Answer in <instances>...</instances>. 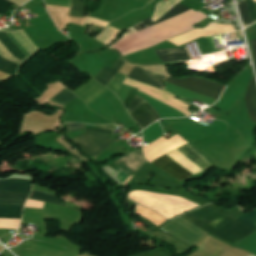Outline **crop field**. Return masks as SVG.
<instances>
[{
	"label": "crop field",
	"mask_w": 256,
	"mask_h": 256,
	"mask_svg": "<svg viewBox=\"0 0 256 256\" xmlns=\"http://www.w3.org/2000/svg\"><path fill=\"white\" fill-rule=\"evenodd\" d=\"M21 219H0V228L18 229Z\"/></svg>",
	"instance_id": "crop-field-21"
},
{
	"label": "crop field",
	"mask_w": 256,
	"mask_h": 256,
	"mask_svg": "<svg viewBox=\"0 0 256 256\" xmlns=\"http://www.w3.org/2000/svg\"><path fill=\"white\" fill-rule=\"evenodd\" d=\"M131 116L139 123L142 129L160 119L158 113L147 103L146 100Z\"/></svg>",
	"instance_id": "crop-field-8"
},
{
	"label": "crop field",
	"mask_w": 256,
	"mask_h": 256,
	"mask_svg": "<svg viewBox=\"0 0 256 256\" xmlns=\"http://www.w3.org/2000/svg\"><path fill=\"white\" fill-rule=\"evenodd\" d=\"M145 99L136 96L133 104L127 109L129 113H132Z\"/></svg>",
	"instance_id": "crop-field-22"
},
{
	"label": "crop field",
	"mask_w": 256,
	"mask_h": 256,
	"mask_svg": "<svg viewBox=\"0 0 256 256\" xmlns=\"http://www.w3.org/2000/svg\"><path fill=\"white\" fill-rule=\"evenodd\" d=\"M85 124L68 123L66 132L84 129Z\"/></svg>",
	"instance_id": "crop-field-23"
},
{
	"label": "crop field",
	"mask_w": 256,
	"mask_h": 256,
	"mask_svg": "<svg viewBox=\"0 0 256 256\" xmlns=\"http://www.w3.org/2000/svg\"><path fill=\"white\" fill-rule=\"evenodd\" d=\"M160 59L165 62L186 61L192 59L187 48L155 50Z\"/></svg>",
	"instance_id": "crop-field-9"
},
{
	"label": "crop field",
	"mask_w": 256,
	"mask_h": 256,
	"mask_svg": "<svg viewBox=\"0 0 256 256\" xmlns=\"http://www.w3.org/2000/svg\"><path fill=\"white\" fill-rule=\"evenodd\" d=\"M166 82L215 99L220 97L224 89V87L219 84L197 78L177 80L169 77Z\"/></svg>",
	"instance_id": "crop-field-5"
},
{
	"label": "crop field",
	"mask_w": 256,
	"mask_h": 256,
	"mask_svg": "<svg viewBox=\"0 0 256 256\" xmlns=\"http://www.w3.org/2000/svg\"><path fill=\"white\" fill-rule=\"evenodd\" d=\"M76 97H78V96H76L70 90L65 88L58 95H56L53 99H51V101L65 106L66 104H68L70 101H72Z\"/></svg>",
	"instance_id": "crop-field-17"
},
{
	"label": "crop field",
	"mask_w": 256,
	"mask_h": 256,
	"mask_svg": "<svg viewBox=\"0 0 256 256\" xmlns=\"http://www.w3.org/2000/svg\"><path fill=\"white\" fill-rule=\"evenodd\" d=\"M127 77V76H126ZM125 76L117 73V75L113 78V80L107 85V87L117 95L120 89V86L124 80Z\"/></svg>",
	"instance_id": "crop-field-20"
},
{
	"label": "crop field",
	"mask_w": 256,
	"mask_h": 256,
	"mask_svg": "<svg viewBox=\"0 0 256 256\" xmlns=\"http://www.w3.org/2000/svg\"><path fill=\"white\" fill-rule=\"evenodd\" d=\"M69 15L85 17L82 0H71Z\"/></svg>",
	"instance_id": "crop-field-19"
},
{
	"label": "crop field",
	"mask_w": 256,
	"mask_h": 256,
	"mask_svg": "<svg viewBox=\"0 0 256 256\" xmlns=\"http://www.w3.org/2000/svg\"><path fill=\"white\" fill-rule=\"evenodd\" d=\"M32 180L7 179L0 180V191L31 192Z\"/></svg>",
	"instance_id": "crop-field-10"
},
{
	"label": "crop field",
	"mask_w": 256,
	"mask_h": 256,
	"mask_svg": "<svg viewBox=\"0 0 256 256\" xmlns=\"http://www.w3.org/2000/svg\"><path fill=\"white\" fill-rule=\"evenodd\" d=\"M125 61L126 60L120 56V58L115 63L112 69L104 66L102 70L94 78L106 86L108 82L114 77V75L119 71V69L122 67Z\"/></svg>",
	"instance_id": "crop-field-11"
},
{
	"label": "crop field",
	"mask_w": 256,
	"mask_h": 256,
	"mask_svg": "<svg viewBox=\"0 0 256 256\" xmlns=\"http://www.w3.org/2000/svg\"><path fill=\"white\" fill-rule=\"evenodd\" d=\"M178 149L185 153L188 157H190L204 169L212 166V164L207 160V158L189 143ZM152 164L164 170L166 173H168L169 175H171L172 177L179 181L194 175L188 170L181 167L175 161L170 159L166 154L156 159Z\"/></svg>",
	"instance_id": "crop-field-4"
},
{
	"label": "crop field",
	"mask_w": 256,
	"mask_h": 256,
	"mask_svg": "<svg viewBox=\"0 0 256 256\" xmlns=\"http://www.w3.org/2000/svg\"><path fill=\"white\" fill-rule=\"evenodd\" d=\"M250 42H251V44L253 46L254 55H255V62H256V40H252Z\"/></svg>",
	"instance_id": "crop-field-26"
},
{
	"label": "crop field",
	"mask_w": 256,
	"mask_h": 256,
	"mask_svg": "<svg viewBox=\"0 0 256 256\" xmlns=\"http://www.w3.org/2000/svg\"><path fill=\"white\" fill-rule=\"evenodd\" d=\"M39 49L23 30H0V70L18 75V68Z\"/></svg>",
	"instance_id": "crop-field-3"
},
{
	"label": "crop field",
	"mask_w": 256,
	"mask_h": 256,
	"mask_svg": "<svg viewBox=\"0 0 256 256\" xmlns=\"http://www.w3.org/2000/svg\"><path fill=\"white\" fill-rule=\"evenodd\" d=\"M23 207L21 205L0 204V218H21Z\"/></svg>",
	"instance_id": "crop-field-15"
},
{
	"label": "crop field",
	"mask_w": 256,
	"mask_h": 256,
	"mask_svg": "<svg viewBox=\"0 0 256 256\" xmlns=\"http://www.w3.org/2000/svg\"><path fill=\"white\" fill-rule=\"evenodd\" d=\"M31 199H36V200H41V201H46L54 204H60L63 205L62 202L55 196L45 194L39 191H33L31 196Z\"/></svg>",
	"instance_id": "crop-field-18"
},
{
	"label": "crop field",
	"mask_w": 256,
	"mask_h": 256,
	"mask_svg": "<svg viewBox=\"0 0 256 256\" xmlns=\"http://www.w3.org/2000/svg\"><path fill=\"white\" fill-rule=\"evenodd\" d=\"M86 131H95V132H103L111 134L112 131L104 130V129H86Z\"/></svg>",
	"instance_id": "crop-field-25"
},
{
	"label": "crop field",
	"mask_w": 256,
	"mask_h": 256,
	"mask_svg": "<svg viewBox=\"0 0 256 256\" xmlns=\"http://www.w3.org/2000/svg\"><path fill=\"white\" fill-rule=\"evenodd\" d=\"M29 194L19 192H0V203L24 205Z\"/></svg>",
	"instance_id": "crop-field-14"
},
{
	"label": "crop field",
	"mask_w": 256,
	"mask_h": 256,
	"mask_svg": "<svg viewBox=\"0 0 256 256\" xmlns=\"http://www.w3.org/2000/svg\"><path fill=\"white\" fill-rule=\"evenodd\" d=\"M109 137V135L86 132L72 141L89 156H95L114 142V140L108 139Z\"/></svg>",
	"instance_id": "crop-field-6"
},
{
	"label": "crop field",
	"mask_w": 256,
	"mask_h": 256,
	"mask_svg": "<svg viewBox=\"0 0 256 256\" xmlns=\"http://www.w3.org/2000/svg\"><path fill=\"white\" fill-rule=\"evenodd\" d=\"M189 10L191 9L184 5L178 4L173 10H171L168 14L163 16L156 23L151 22L150 18H148L134 25L133 27L127 29V31L117 41H115L110 48L111 49L115 48L119 50L123 55L136 52L139 50H143V49L155 46L170 37L176 36L187 30L193 29L191 25L196 24L199 21L203 20L204 18L208 17L199 11L196 12L194 10H191V11ZM186 11H189V12H186ZM181 13H184V14H181ZM176 15H179V16H176ZM169 18H172V19H169ZM164 20H167V21H164ZM159 22H162V23H159ZM154 24H157V25H154ZM145 28H148V29H145ZM136 32H139V33H136ZM127 36H130V37H127ZM116 42L118 43L115 44ZM113 45L114 47L112 48ZM120 52L119 54L123 56Z\"/></svg>",
	"instance_id": "crop-field-1"
},
{
	"label": "crop field",
	"mask_w": 256,
	"mask_h": 256,
	"mask_svg": "<svg viewBox=\"0 0 256 256\" xmlns=\"http://www.w3.org/2000/svg\"><path fill=\"white\" fill-rule=\"evenodd\" d=\"M247 1V5H248V9L251 15V19L252 22H256V5L255 2L253 0H246ZM246 1H243L242 3H239V10H240V14L241 17L243 19V24L245 27H247L248 25L252 24L251 19H250V15L247 9V5H246Z\"/></svg>",
	"instance_id": "crop-field-12"
},
{
	"label": "crop field",
	"mask_w": 256,
	"mask_h": 256,
	"mask_svg": "<svg viewBox=\"0 0 256 256\" xmlns=\"http://www.w3.org/2000/svg\"><path fill=\"white\" fill-rule=\"evenodd\" d=\"M43 203L44 202H41V201H36V200L28 199L25 207L42 208L43 207Z\"/></svg>",
	"instance_id": "crop-field-24"
},
{
	"label": "crop field",
	"mask_w": 256,
	"mask_h": 256,
	"mask_svg": "<svg viewBox=\"0 0 256 256\" xmlns=\"http://www.w3.org/2000/svg\"><path fill=\"white\" fill-rule=\"evenodd\" d=\"M246 105L249 111L250 119L256 122V80L254 77L248 87Z\"/></svg>",
	"instance_id": "crop-field-13"
},
{
	"label": "crop field",
	"mask_w": 256,
	"mask_h": 256,
	"mask_svg": "<svg viewBox=\"0 0 256 256\" xmlns=\"http://www.w3.org/2000/svg\"><path fill=\"white\" fill-rule=\"evenodd\" d=\"M128 78H132L164 90L162 82L166 76L156 74L135 66L134 69L129 73Z\"/></svg>",
	"instance_id": "crop-field-7"
},
{
	"label": "crop field",
	"mask_w": 256,
	"mask_h": 256,
	"mask_svg": "<svg viewBox=\"0 0 256 256\" xmlns=\"http://www.w3.org/2000/svg\"><path fill=\"white\" fill-rule=\"evenodd\" d=\"M181 217L231 244L256 231V228L214 204Z\"/></svg>",
	"instance_id": "crop-field-2"
},
{
	"label": "crop field",
	"mask_w": 256,
	"mask_h": 256,
	"mask_svg": "<svg viewBox=\"0 0 256 256\" xmlns=\"http://www.w3.org/2000/svg\"><path fill=\"white\" fill-rule=\"evenodd\" d=\"M130 198V197H129ZM132 199V198H131ZM133 200V199H132ZM134 201V200H133ZM136 202V201H135ZM137 203V202H136Z\"/></svg>",
	"instance_id": "crop-field-27"
},
{
	"label": "crop field",
	"mask_w": 256,
	"mask_h": 256,
	"mask_svg": "<svg viewBox=\"0 0 256 256\" xmlns=\"http://www.w3.org/2000/svg\"><path fill=\"white\" fill-rule=\"evenodd\" d=\"M190 113V112H189Z\"/></svg>",
	"instance_id": "crop-field-29"
},
{
	"label": "crop field",
	"mask_w": 256,
	"mask_h": 256,
	"mask_svg": "<svg viewBox=\"0 0 256 256\" xmlns=\"http://www.w3.org/2000/svg\"><path fill=\"white\" fill-rule=\"evenodd\" d=\"M0 256H4V255L0 254Z\"/></svg>",
	"instance_id": "crop-field-28"
},
{
	"label": "crop field",
	"mask_w": 256,
	"mask_h": 256,
	"mask_svg": "<svg viewBox=\"0 0 256 256\" xmlns=\"http://www.w3.org/2000/svg\"><path fill=\"white\" fill-rule=\"evenodd\" d=\"M122 161H124L125 163L129 164L130 166H132L133 168L137 169L145 163V159H144V156L141 152V149H138L134 152H132L131 154L125 156L124 158L120 159ZM132 176L129 177V179L131 178ZM128 179V180H129ZM127 180V181H128ZM127 181L124 183L126 184Z\"/></svg>",
	"instance_id": "crop-field-16"
}]
</instances>
